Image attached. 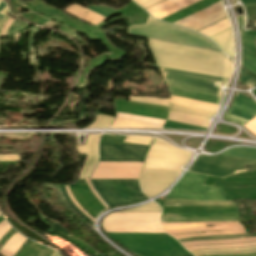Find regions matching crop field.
I'll use <instances>...</instances> for the list:
<instances>
[{
    "label": "crop field",
    "instance_id": "1",
    "mask_svg": "<svg viewBox=\"0 0 256 256\" xmlns=\"http://www.w3.org/2000/svg\"><path fill=\"white\" fill-rule=\"evenodd\" d=\"M149 146L100 143V161H126L143 163ZM126 162H99L91 179L138 178L143 164ZM100 197L110 207L147 200L139 188L138 179L91 180Z\"/></svg>",
    "mask_w": 256,
    "mask_h": 256
},
{
    "label": "crop field",
    "instance_id": "2",
    "mask_svg": "<svg viewBox=\"0 0 256 256\" xmlns=\"http://www.w3.org/2000/svg\"><path fill=\"white\" fill-rule=\"evenodd\" d=\"M157 65L176 70L230 77L233 62L224 55L196 47L149 39Z\"/></svg>",
    "mask_w": 256,
    "mask_h": 256
},
{
    "label": "crop field",
    "instance_id": "3",
    "mask_svg": "<svg viewBox=\"0 0 256 256\" xmlns=\"http://www.w3.org/2000/svg\"><path fill=\"white\" fill-rule=\"evenodd\" d=\"M127 34L151 37L219 51L207 38L182 27L158 21L148 15L146 24L128 26Z\"/></svg>",
    "mask_w": 256,
    "mask_h": 256
},
{
    "label": "crop field",
    "instance_id": "4",
    "mask_svg": "<svg viewBox=\"0 0 256 256\" xmlns=\"http://www.w3.org/2000/svg\"><path fill=\"white\" fill-rule=\"evenodd\" d=\"M160 213H123L111 214L104 218L103 229L106 232H143L163 233L159 225Z\"/></svg>",
    "mask_w": 256,
    "mask_h": 256
},
{
    "label": "crop field",
    "instance_id": "5",
    "mask_svg": "<svg viewBox=\"0 0 256 256\" xmlns=\"http://www.w3.org/2000/svg\"><path fill=\"white\" fill-rule=\"evenodd\" d=\"M167 86L223 96L220 88L229 80L158 67Z\"/></svg>",
    "mask_w": 256,
    "mask_h": 256
},
{
    "label": "crop field",
    "instance_id": "6",
    "mask_svg": "<svg viewBox=\"0 0 256 256\" xmlns=\"http://www.w3.org/2000/svg\"><path fill=\"white\" fill-rule=\"evenodd\" d=\"M206 176L186 172L170 190L167 198L191 200H225L222 189L202 186Z\"/></svg>",
    "mask_w": 256,
    "mask_h": 256
},
{
    "label": "crop field",
    "instance_id": "7",
    "mask_svg": "<svg viewBox=\"0 0 256 256\" xmlns=\"http://www.w3.org/2000/svg\"><path fill=\"white\" fill-rule=\"evenodd\" d=\"M190 156L191 153L155 139L147 152L144 168L182 171L181 166L186 165Z\"/></svg>",
    "mask_w": 256,
    "mask_h": 256
},
{
    "label": "crop field",
    "instance_id": "8",
    "mask_svg": "<svg viewBox=\"0 0 256 256\" xmlns=\"http://www.w3.org/2000/svg\"><path fill=\"white\" fill-rule=\"evenodd\" d=\"M163 231L170 235L196 233V232H211V231H230L243 230L244 227L239 222H221V223H161ZM207 225H215V227H206ZM245 231H230V232H214L194 235L175 236L176 239L186 237L208 236V235H235L245 234Z\"/></svg>",
    "mask_w": 256,
    "mask_h": 256
},
{
    "label": "crop field",
    "instance_id": "9",
    "mask_svg": "<svg viewBox=\"0 0 256 256\" xmlns=\"http://www.w3.org/2000/svg\"><path fill=\"white\" fill-rule=\"evenodd\" d=\"M253 164H256V161L225 156H200L189 170L212 176L224 177L236 170L245 169L244 166Z\"/></svg>",
    "mask_w": 256,
    "mask_h": 256
},
{
    "label": "crop field",
    "instance_id": "10",
    "mask_svg": "<svg viewBox=\"0 0 256 256\" xmlns=\"http://www.w3.org/2000/svg\"><path fill=\"white\" fill-rule=\"evenodd\" d=\"M238 216L237 206L163 207L161 217Z\"/></svg>",
    "mask_w": 256,
    "mask_h": 256
},
{
    "label": "crop field",
    "instance_id": "11",
    "mask_svg": "<svg viewBox=\"0 0 256 256\" xmlns=\"http://www.w3.org/2000/svg\"><path fill=\"white\" fill-rule=\"evenodd\" d=\"M181 172L143 169L139 183L142 192L154 197L164 191Z\"/></svg>",
    "mask_w": 256,
    "mask_h": 256
},
{
    "label": "crop field",
    "instance_id": "12",
    "mask_svg": "<svg viewBox=\"0 0 256 256\" xmlns=\"http://www.w3.org/2000/svg\"><path fill=\"white\" fill-rule=\"evenodd\" d=\"M226 16L227 14L222 8V3L221 1H219L197 13H194L186 18H183L175 22L174 24H178L186 28L192 29L194 31H197Z\"/></svg>",
    "mask_w": 256,
    "mask_h": 256
},
{
    "label": "crop field",
    "instance_id": "13",
    "mask_svg": "<svg viewBox=\"0 0 256 256\" xmlns=\"http://www.w3.org/2000/svg\"><path fill=\"white\" fill-rule=\"evenodd\" d=\"M82 181L84 184L77 181L68 187L78 204L95 219L106 208L94 196L85 180Z\"/></svg>",
    "mask_w": 256,
    "mask_h": 256
},
{
    "label": "crop field",
    "instance_id": "14",
    "mask_svg": "<svg viewBox=\"0 0 256 256\" xmlns=\"http://www.w3.org/2000/svg\"><path fill=\"white\" fill-rule=\"evenodd\" d=\"M256 115V104L254 101L237 94L224 119L244 126Z\"/></svg>",
    "mask_w": 256,
    "mask_h": 256
},
{
    "label": "crop field",
    "instance_id": "15",
    "mask_svg": "<svg viewBox=\"0 0 256 256\" xmlns=\"http://www.w3.org/2000/svg\"><path fill=\"white\" fill-rule=\"evenodd\" d=\"M115 110L125 114L148 116L166 120L168 108L151 104L114 100Z\"/></svg>",
    "mask_w": 256,
    "mask_h": 256
},
{
    "label": "crop field",
    "instance_id": "16",
    "mask_svg": "<svg viewBox=\"0 0 256 256\" xmlns=\"http://www.w3.org/2000/svg\"><path fill=\"white\" fill-rule=\"evenodd\" d=\"M99 138H100V135H89L85 146H77L78 153L88 155L87 161L81 170L80 179L89 178L97 162V159H98L97 148H98Z\"/></svg>",
    "mask_w": 256,
    "mask_h": 256
},
{
    "label": "crop field",
    "instance_id": "17",
    "mask_svg": "<svg viewBox=\"0 0 256 256\" xmlns=\"http://www.w3.org/2000/svg\"><path fill=\"white\" fill-rule=\"evenodd\" d=\"M130 101L151 103V104L162 105L167 107H169V102H172V103H176L184 106L196 107V108L205 109V110L214 111V112H216L219 107L217 105H212L204 102H198V101H193V100H188V99H183V98H178L173 96H171V100L130 96Z\"/></svg>",
    "mask_w": 256,
    "mask_h": 256
},
{
    "label": "crop field",
    "instance_id": "18",
    "mask_svg": "<svg viewBox=\"0 0 256 256\" xmlns=\"http://www.w3.org/2000/svg\"><path fill=\"white\" fill-rule=\"evenodd\" d=\"M240 27V34H241V41H242V63L241 65L247 69L251 74H253L256 77V68L250 64L247 60L243 58H247L250 62H252L256 66V57L252 55L250 52H248L244 47H247L250 51H252L255 54V49L253 39H256V35L253 36H247L246 32L242 30L243 22H244V16L237 17Z\"/></svg>",
    "mask_w": 256,
    "mask_h": 256
},
{
    "label": "crop field",
    "instance_id": "19",
    "mask_svg": "<svg viewBox=\"0 0 256 256\" xmlns=\"http://www.w3.org/2000/svg\"><path fill=\"white\" fill-rule=\"evenodd\" d=\"M199 0H165L149 9L147 11L151 13L155 18L162 19L186 6H189Z\"/></svg>",
    "mask_w": 256,
    "mask_h": 256
},
{
    "label": "crop field",
    "instance_id": "20",
    "mask_svg": "<svg viewBox=\"0 0 256 256\" xmlns=\"http://www.w3.org/2000/svg\"><path fill=\"white\" fill-rule=\"evenodd\" d=\"M209 38L212 39L226 54L232 58L234 57V45L231 27Z\"/></svg>",
    "mask_w": 256,
    "mask_h": 256
},
{
    "label": "crop field",
    "instance_id": "21",
    "mask_svg": "<svg viewBox=\"0 0 256 256\" xmlns=\"http://www.w3.org/2000/svg\"><path fill=\"white\" fill-rule=\"evenodd\" d=\"M171 95H177L193 100H198V101H204V102H210V103H216L219 104L221 99L220 97H215L207 94H202V93H196V92H190V91H185V90H180V89H175V88H170Z\"/></svg>",
    "mask_w": 256,
    "mask_h": 256
},
{
    "label": "crop field",
    "instance_id": "22",
    "mask_svg": "<svg viewBox=\"0 0 256 256\" xmlns=\"http://www.w3.org/2000/svg\"><path fill=\"white\" fill-rule=\"evenodd\" d=\"M235 205L230 201H188L165 199L163 206Z\"/></svg>",
    "mask_w": 256,
    "mask_h": 256
},
{
    "label": "crop field",
    "instance_id": "23",
    "mask_svg": "<svg viewBox=\"0 0 256 256\" xmlns=\"http://www.w3.org/2000/svg\"><path fill=\"white\" fill-rule=\"evenodd\" d=\"M168 120L207 128L209 120L169 112Z\"/></svg>",
    "mask_w": 256,
    "mask_h": 256
},
{
    "label": "crop field",
    "instance_id": "24",
    "mask_svg": "<svg viewBox=\"0 0 256 256\" xmlns=\"http://www.w3.org/2000/svg\"><path fill=\"white\" fill-rule=\"evenodd\" d=\"M169 111L187 114V115L196 116V117L205 118V119H209L211 116L215 115L214 112H208V111L188 108L184 106L172 105V104H170Z\"/></svg>",
    "mask_w": 256,
    "mask_h": 256
},
{
    "label": "crop field",
    "instance_id": "25",
    "mask_svg": "<svg viewBox=\"0 0 256 256\" xmlns=\"http://www.w3.org/2000/svg\"><path fill=\"white\" fill-rule=\"evenodd\" d=\"M26 238L21 237L18 233L12 236L9 241L1 248L0 253L4 256H14L16 251L22 245Z\"/></svg>",
    "mask_w": 256,
    "mask_h": 256
},
{
    "label": "crop field",
    "instance_id": "26",
    "mask_svg": "<svg viewBox=\"0 0 256 256\" xmlns=\"http://www.w3.org/2000/svg\"><path fill=\"white\" fill-rule=\"evenodd\" d=\"M221 221H239L238 217L221 218H161V222H221Z\"/></svg>",
    "mask_w": 256,
    "mask_h": 256
},
{
    "label": "crop field",
    "instance_id": "27",
    "mask_svg": "<svg viewBox=\"0 0 256 256\" xmlns=\"http://www.w3.org/2000/svg\"><path fill=\"white\" fill-rule=\"evenodd\" d=\"M231 157H238L250 160H256V149L252 148H233L220 154Z\"/></svg>",
    "mask_w": 256,
    "mask_h": 256
},
{
    "label": "crop field",
    "instance_id": "28",
    "mask_svg": "<svg viewBox=\"0 0 256 256\" xmlns=\"http://www.w3.org/2000/svg\"><path fill=\"white\" fill-rule=\"evenodd\" d=\"M243 242H256V238H244L236 240H222V241H198L190 243H182L184 247L196 245H216V244H230V243H243Z\"/></svg>",
    "mask_w": 256,
    "mask_h": 256
},
{
    "label": "crop field",
    "instance_id": "29",
    "mask_svg": "<svg viewBox=\"0 0 256 256\" xmlns=\"http://www.w3.org/2000/svg\"><path fill=\"white\" fill-rule=\"evenodd\" d=\"M230 26L231 25L229 23V20H228V18H226V19H224V20H222L220 22H217V23H215V24H213V25H211V26H209V27L199 31L198 33H201V34L209 37V36L219 32L221 30H224V29H226V28H228Z\"/></svg>",
    "mask_w": 256,
    "mask_h": 256
},
{
    "label": "crop field",
    "instance_id": "30",
    "mask_svg": "<svg viewBox=\"0 0 256 256\" xmlns=\"http://www.w3.org/2000/svg\"><path fill=\"white\" fill-rule=\"evenodd\" d=\"M53 251L32 243L23 256H51Z\"/></svg>",
    "mask_w": 256,
    "mask_h": 256
},
{
    "label": "crop field",
    "instance_id": "31",
    "mask_svg": "<svg viewBox=\"0 0 256 256\" xmlns=\"http://www.w3.org/2000/svg\"><path fill=\"white\" fill-rule=\"evenodd\" d=\"M250 250H256L255 247H249V248H240V249H217V250H204V251H195L191 252L194 255L198 254H205V253H214V252H236V251H250ZM256 252V251H254ZM246 253H251V252H246ZM226 254H241V253H221V254H206V255H226ZM206 255H201V256H206Z\"/></svg>",
    "mask_w": 256,
    "mask_h": 256
},
{
    "label": "crop field",
    "instance_id": "32",
    "mask_svg": "<svg viewBox=\"0 0 256 256\" xmlns=\"http://www.w3.org/2000/svg\"><path fill=\"white\" fill-rule=\"evenodd\" d=\"M254 236V234L250 235H236V236H218V237H199V238H186V239H180L179 242H185V241H194V240H217V239H235V238H244V237H251Z\"/></svg>",
    "mask_w": 256,
    "mask_h": 256
},
{
    "label": "crop field",
    "instance_id": "33",
    "mask_svg": "<svg viewBox=\"0 0 256 256\" xmlns=\"http://www.w3.org/2000/svg\"><path fill=\"white\" fill-rule=\"evenodd\" d=\"M112 120V117L97 115V121L90 125L88 128H106L110 125Z\"/></svg>",
    "mask_w": 256,
    "mask_h": 256
},
{
    "label": "crop field",
    "instance_id": "34",
    "mask_svg": "<svg viewBox=\"0 0 256 256\" xmlns=\"http://www.w3.org/2000/svg\"><path fill=\"white\" fill-rule=\"evenodd\" d=\"M122 212H160V208L157 205L150 202L144 206L136 207Z\"/></svg>",
    "mask_w": 256,
    "mask_h": 256
},
{
    "label": "crop field",
    "instance_id": "35",
    "mask_svg": "<svg viewBox=\"0 0 256 256\" xmlns=\"http://www.w3.org/2000/svg\"><path fill=\"white\" fill-rule=\"evenodd\" d=\"M256 245V243H250V244H237V245H224V246H199V247H188L186 248L189 251L192 250H198V249H210V248H236V247H248Z\"/></svg>",
    "mask_w": 256,
    "mask_h": 256
},
{
    "label": "crop field",
    "instance_id": "36",
    "mask_svg": "<svg viewBox=\"0 0 256 256\" xmlns=\"http://www.w3.org/2000/svg\"><path fill=\"white\" fill-rule=\"evenodd\" d=\"M126 136H116V135H102L100 142L113 143L121 145Z\"/></svg>",
    "mask_w": 256,
    "mask_h": 256
},
{
    "label": "crop field",
    "instance_id": "37",
    "mask_svg": "<svg viewBox=\"0 0 256 256\" xmlns=\"http://www.w3.org/2000/svg\"><path fill=\"white\" fill-rule=\"evenodd\" d=\"M153 138L148 137H134V136H127L124 142L126 143H135V144H145L150 145Z\"/></svg>",
    "mask_w": 256,
    "mask_h": 256
},
{
    "label": "crop field",
    "instance_id": "38",
    "mask_svg": "<svg viewBox=\"0 0 256 256\" xmlns=\"http://www.w3.org/2000/svg\"><path fill=\"white\" fill-rule=\"evenodd\" d=\"M239 81L245 83L250 88L256 87V80L252 79L248 74H246L242 69H240ZM247 86V87H248Z\"/></svg>",
    "mask_w": 256,
    "mask_h": 256
},
{
    "label": "crop field",
    "instance_id": "39",
    "mask_svg": "<svg viewBox=\"0 0 256 256\" xmlns=\"http://www.w3.org/2000/svg\"><path fill=\"white\" fill-rule=\"evenodd\" d=\"M137 4H139L144 9L162 1V0H134Z\"/></svg>",
    "mask_w": 256,
    "mask_h": 256
},
{
    "label": "crop field",
    "instance_id": "40",
    "mask_svg": "<svg viewBox=\"0 0 256 256\" xmlns=\"http://www.w3.org/2000/svg\"><path fill=\"white\" fill-rule=\"evenodd\" d=\"M247 128L252 134L256 135V117L253 118L248 124L244 126Z\"/></svg>",
    "mask_w": 256,
    "mask_h": 256
},
{
    "label": "crop field",
    "instance_id": "41",
    "mask_svg": "<svg viewBox=\"0 0 256 256\" xmlns=\"http://www.w3.org/2000/svg\"><path fill=\"white\" fill-rule=\"evenodd\" d=\"M15 230L12 228L7 234L0 239V248L8 241V239L15 234Z\"/></svg>",
    "mask_w": 256,
    "mask_h": 256
},
{
    "label": "crop field",
    "instance_id": "42",
    "mask_svg": "<svg viewBox=\"0 0 256 256\" xmlns=\"http://www.w3.org/2000/svg\"><path fill=\"white\" fill-rule=\"evenodd\" d=\"M12 227L9 226L6 221L4 220L3 222L0 223V238Z\"/></svg>",
    "mask_w": 256,
    "mask_h": 256
},
{
    "label": "crop field",
    "instance_id": "43",
    "mask_svg": "<svg viewBox=\"0 0 256 256\" xmlns=\"http://www.w3.org/2000/svg\"><path fill=\"white\" fill-rule=\"evenodd\" d=\"M4 161H19L17 155H0V162Z\"/></svg>",
    "mask_w": 256,
    "mask_h": 256
},
{
    "label": "crop field",
    "instance_id": "44",
    "mask_svg": "<svg viewBox=\"0 0 256 256\" xmlns=\"http://www.w3.org/2000/svg\"><path fill=\"white\" fill-rule=\"evenodd\" d=\"M65 188H66L67 193H68L70 199L72 200V202H73L88 218H90L92 221H94V219H92V218L77 204V202H76V201L74 200V198L72 197V195H71V193H70L68 187L65 186Z\"/></svg>",
    "mask_w": 256,
    "mask_h": 256
},
{
    "label": "crop field",
    "instance_id": "45",
    "mask_svg": "<svg viewBox=\"0 0 256 256\" xmlns=\"http://www.w3.org/2000/svg\"><path fill=\"white\" fill-rule=\"evenodd\" d=\"M61 187V189H62V191H63V193H64V196H65V198L69 201V203L72 205V207L77 211V212H79L76 208H75V206L72 204V202L70 201V199H69V197H68V195H67V193H66V191H65V189H64V187L63 186H60ZM80 213V212H79ZM81 214V213H80ZM82 215V214H81ZM87 221H89L91 224H93V222H91L88 218H86L84 215H82Z\"/></svg>",
    "mask_w": 256,
    "mask_h": 256
},
{
    "label": "crop field",
    "instance_id": "46",
    "mask_svg": "<svg viewBox=\"0 0 256 256\" xmlns=\"http://www.w3.org/2000/svg\"><path fill=\"white\" fill-rule=\"evenodd\" d=\"M1 14L5 15V16H4L3 19L0 21V29H1V27L3 26V24L7 21V19L9 18V17L7 16V7H5V8L3 9V11L1 12Z\"/></svg>",
    "mask_w": 256,
    "mask_h": 256
},
{
    "label": "crop field",
    "instance_id": "47",
    "mask_svg": "<svg viewBox=\"0 0 256 256\" xmlns=\"http://www.w3.org/2000/svg\"><path fill=\"white\" fill-rule=\"evenodd\" d=\"M20 24H21L20 21L14 20L8 30L17 29ZM8 30H7V31H8Z\"/></svg>",
    "mask_w": 256,
    "mask_h": 256
},
{
    "label": "crop field",
    "instance_id": "48",
    "mask_svg": "<svg viewBox=\"0 0 256 256\" xmlns=\"http://www.w3.org/2000/svg\"><path fill=\"white\" fill-rule=\"evenodd\" d=\"M86 181H87V183H88L90 189H91V190L93 191V193L95 194V196L99 199V201H100L106 208H108V207L103 203V201L99 198V196L96 194V192L93 190V188L91 187V185H90V183H89V179H86Z\"/></svg>",
    "mask_w": 256,
    "mask_h": 256
},
{
    "label": "crop field",
    "instance_id": "49",
    "mask_svg": "<svg viewBox=\"0 0 256 256\" xmlns=\"http://www.w3.org/2000/svg\"><path fill=\"white\" fill-rule=\"evenodd\" d=\"M10 18H11V17H10ZM10 18H9V20H10ZM9 20H8V21H9ZM8 21L5 23L4 27H2L1 32H0V36H2V32H3V30H4L5 26H6V24L8 23Z\"/></svg>",
    "mask_w": 256,
    "mask_h": 256
},
{
    "label": "crop field",
    "instance_id": "50",
    "mask_svg": "<svg viewBox=\"0 0 256 256\" xmlns=\"http://www.w3.org/2000/svg\"><path fill=\"white\" fill-rule=\"evenodd\" d=\"M241 1H242V3H246V2H254L256 0H241Z\"/></svg>",
    "mask_w": 256,
    "mask_h": 256
},
{
    "label": "crop field",
    "instance_id": "51",
    "mask_svg": "<svg viewBox=\"0 0 256 256\" xmlns=\"http://www.w3.org/2000/svg\"><path fill=\"white\" fill-rule=\"evenodd\" d=\"M13 20H14V19H11L10 22L7 24V26H6V28H5V31H6V29L10 26V24H11V22H12ZM5 31H4V32H5Z\"/></svg>",
    "mask_w": 256,
    "mask_h": 256
},
{
    "label": "crop field",
    "instance_id": "52",
    "mask_svg": "<svg viewBox=\"0 0 256 256\" xmlns=\"http://www.w3.org/2000/svg\"><path fill=\"white\" fill-rule=\"evenodd\" d=\"M253 255H256V254H250V255H232V256H253Z\"/></svg>",
    "mask_w": 256,
    "mask_h": 256
},
{
    "label": "crop field",
    "instance_id": "53",
    "mask_svg": "<svg viewBox=\"0 0 256 256\" xmlns=\"http://www.w3.org/2000/svg\"><path fill=\"white\" fill-rule=\"evenodd\" d=\"M6 5L2 2L1 4H0V10L3 8V7H5ZM2 11V10H1Z\"/></svg>",
    "mask_w": 256,
    "mask_h": 256
},
{
    "label": "crop field",
    "instance_id": "54",
    "mask_svg": "<svg viewBox=\"0 0 256 256\" xmlns=\"http://www.w3.org/2000/svg\"><path fill=\"white\" fill-rule=\"evenodd\" d=\"M52 256H62L59 253H54Z\"/></svg>",
    "mask_w": 256,
    "mask_h": 256
},
{
    "label": "crop field",
    "instance_id": "55",
    "mask_svg": "<svg viewBox=\"0 0 256 256\" xmlns=\"http://www.w3.org/2000/svg\"><path fill=\"white\" fill-rule=\"evenodd\" d=\"M3 220H4V219H3V217L1 216V217H0V222L3 221Z\"/></svg>",
    "mask_w": 256,
    "mask_h": 256
},
{
    "label": "crop field",
    "instance_id": "56",
    "mask_svg": "<svg viewBox=\"0 0 256 256\" xmlns=\"http://www.w3.org/2000/svg\"><path fill=\"white\" fill-rule=\"evenodd\" d=\"M2 15H0V19H1Z\"/></svg>",
    "mask_w": 256,
    "mask_h": 256
},
{
    "label": "crop field",
    "instance_id": "57",
    "mask_svg": "<svg viewBox=\"0 0 256 256\" xmlns=\"http://www.w3.org/2000/svg\"><path fill=\"white\" fill-rule=\"evenodd\" d=\"M188 256H192V255H188Z\"/></svg>",
    "mask_w": 256,
    "mask_h": 256
},
{
    "label": "crop field",
    "instance_id": "58",
    "mask_svg": "<svg viewBox=\"0 0 256 256\" xmlns=\"http://www.w3.org/2000/svg\"><path fill=\"white\" fill-rule=\"evenodd\" d=\"M0 3H1V1H0Z\"/></svg>",
    "mask_w": 256,
    "mask_h": 256
},
{
    "label": "crop field",
    "instance_id": "59",
    "mask_svg": "<svg viewBox=\"0 0 256 256\" xmlns=\"http://www.w3.org/2000/svg\"><path fill=\"white\" fill-rule=\"evenodd\" d=\"M0 216H1V214H0Z\"/></svg>",
    "mask_w": 256,
    "mask_h": 256
}]
</instances>
